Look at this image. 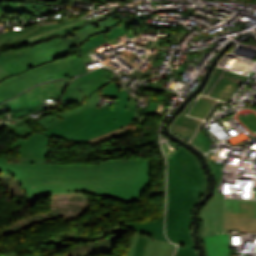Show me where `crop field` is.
Wrapping results in <instances>:
<instances>
[{"label": "crop field", "mask_w": 256, "mask_h": 256, "mask_svg": "<svg viewBox=\"0 0 256 256\" xmlns=\"http://www.w3.org/2000/svg\"><path fill=\"white\" fill-rule=\"evenodd\" d=\"M150 170L151 162L146 159L57 166L46 162L10 164L6 157H0V172L13 173L33 202L76 192L136 202L148 187Z\"/></svg>", "instance_id": "8a807250"}, {"label": "crop field", "mask_w": 256, "mask_h": 256, "mask_svg": "<svg viewBox=\"0 0 256 256\" xmlns=\"http://www.w3.org/2000/svg\"><path fill=\"white\" fill-rule=\"evenodd\" d=\"M168 164L166 234L180 246H194L189 234L191 211L206 191L208 182L197 157L181 146L172 158H168Z\"/></svg>", "instance_id": "ac0d7876"}, {"label": "crop field", "mask_w": 256, "mask_h": 256, "mask_svg": "<svg viewBox=\"0 0 256 256\" xmlns=\"http://www.w3.org/2000/svg\"><path fill=\"white\" fill-rule=\"evenodd\" d=\"M78 45L75 37L50 40L1 57L0 65L15 75L40 63L60 58L67 50Z\"/></svg>", "instance_id": "34b2d1b8"}, {"label": "crop field", "mask_w": 256, "mask_h": 256, "mask_svg": "<svg viewBox=\"0 0 256 256\" xmlns=\"http://www.w3.org/2000/svg\"><path fill=\"white\" fill-rule=\"evenodd\" d=\"M118 15L119 13L114 10L96 20H86L83 18L82 20L78 19L67 23H59L24 39L18 40V42L22 45L29 43L33 46L37 43L54 38L76 36L80 44L85 38L103 32L108 27L117 23L118 21H114L112 18Z\"/></svg>", "instance_id": "412701ff"}, {"label": "crop field", "mask_w": 256, "mask_h": 256, "mask_svg": "<svg viewBox=\"0 0 256 256\" xmlns=\"http://www.w3.org/2000/svg\"><path fill=\"white\" fill-rule=\"evenodd\" d=\"M70 65L71 57L45 63L29 69L23 74L3 80L0 82V102L17 95L39 82L48 81L51 77L53 79L66 77Z\"/></svg>", "instance_id": "f4fd0767"}, {"label": "crop field", "mask_w": 256, "mask_h": 256, "mask_svg": "<svg viewBox=\"0 0 256 256\" xmlns=\"http://www.w3.org/2000/svg\"><path fill=\"white\" fill-rule=\"evenodd\" d=\"M230 229L256 233V201L224 199L222 232Z\"/></svg>", "instance_id": "dd49c442"}, {"label": "crop field", "mask_w": 256, "mask_h": 256, "mask_svg": "<svg viewBox=\"0 0 256 256\" xmlns=\"http://www.w3.org/2000/svg\"><path fill=\"white\" fill-rule=\"evenodd\" d=\"M50 140V138L34 131L26 140L18 139L6 149V152L20 145L21 147L17 151V153L21 154L20 158H18L20 163L44 162L50 147L47 151L44 149L48 146Z\"/></svg>", "instance_id": "e52e79f7"}, {"label": "crop field", "mask_w": 256, "mask_h": 256, "mask_svg": "<svg viewBox=\"0 0 256 256\" xmlns=\"http://www.w3.org/2000/svg\"><path fill=\"white\" fill-rule=\"evenodd\" d=\"M175 250L176 246L173 244L158 242L141 233H135L127 256H173Z\"/></svg>", "instance_id": "d8731c3e"}, {"label": "crop field", "mask_w": 256, "mask_h": 256, "mask_svg": "<svg viewBox=\"0 0 256 256\" xmlns=\"http://www.w3.org/2000/svg\"><path fill=\"white\" fill-rule=\"evenodd\" d=\"M217 185L215 194L207 202L200 213L203 228L200 235L213 236L216 232H221V221L223 213V196L220 195Z\"/></svg>", "instance_id": "5a996713"}, {"label": "crop field", "mask_w": 256, "mask_h": 256, "mask_svg": "<svg viewBox=\"0 0 256 256\" xmlns=\"http://www.w3.org/2000/svg\"><path fill=\"white\" fill-rule=\"evenodd\" d=\"M201 238L208 256H228L230 250L228 234H217L213 237L201 236Z\"/></svg>", "instance_id": "3316defc"}, {"label": "crop field", "mask_w": 256, "mask_h": 256, "mask_svg": "<svg viewBox=\"0 0 256 256\" xmlns=\"http://www.w3.org/2000/svg\"><path fill=\"white\" fill-rule=\"evenodd\" d=\"M114 238L116 237H114V235H111L105 240H102V241L100 240L92 244L87 243V244L77 245L78 248L73 250L69 254L71 256H89V255H94L102 252L111 253L112 250L110 249V246L113 245V243H111V240Z\"/></svg>", "instance_id": "28ad6ade"}, {"label": "crop field", "mask_w": 256, "mask_h": 256, "mask_svg": "<svg viewBox=\"0 0 256 256\" xmlns=\"http://www.w3.org/2000/svg\"><path fill=\"white\" fill-rule=\"evenodd\" d=\"M163 219L164 213L156 221L130 223V226L137 232L148 234L157 240L167 241L164 235Z\"/></svg>", "instance_id": "d1516ede"}, {"label": "crop field", "mask_w": 256, "mask_h": 256, "mask_svg": "<svg viewBox=\"0 0 256 256\" xmlns=\"http://www.w3.org/2000/svg\"><path fill=\"white\" fill-rule=\"evenodd\" d=\"M52 25H54V24H52ZM49 26H51V25H40V26L31 27V28H28V29H25V30L10 31V32L3 33L0 36V49L4 46L8 45V44H16V43H18L16 40L24 38L28 35H31L35 32H38L42 29H45ZM11 52H14V51H10V52H7L5 54H2L0 52V57L4 56V55H7Z\"/></svg>", "instance_id": "22f410ed"}, {"label": "crop field", "mask_w": 256, "mask_h": 256, "mask_svg": "<svg viewBox=\"0 0 256 256\" xmlns=\"http://www.w3.org/2000/svg\"><path fill=\"white\" fill-rule=\"evenodd\" d=\"M148 17L147 15H132L124 18L122 21L115 26L108 29L106 32L107 41L121 35L125 34L128 30V26L130 25H139L140 21Z\"/></svg>", "instance_id": "cbeb9de0"}, {"label": "crop field", "mask_w": 256, "mask_h": 256, "mask_svg": "<svg viewBox=\"0 0 256 256\" xmlns=\"http://www.w3.org/2000/svg\"><path fill=\"white\" fill-rule=\"evenodd\" d=\"M130 131L125 127H121L119 129H116L114 131H111L107 134H104V135H101V136H98L94 139H91V140H88L86 142H82L80 144H85V145H95V144H99V143H103V142H106V141H110V140H113L117 137H120V136H123L127 133H129Z\"/></svg>", "instance_id": "5142ce71"}, {"label": "crop field", "mask_w": 256, "mask_h": 256, "mask_svg": "<svg viewBox=\"0 0 256 256\" xmlns=\"http://www.w3.org/2000/svg\"><path fill=\"white\" fill-rule=\"evenodd\" d=\"M105 33L95 35L87 40H85L80 47V54L82 55L84 52L88 51L89 49L105 42Z\"/></svg>", "instance_id": "d9b57169"}, {"label": "crop field", "mask_w": 256, "mask_h": 256, "mask_svg": "<svg viewBox=\"0 0 256 256\" xmlns=\"http://www.w3.org/2000/svg\"><path fill=\"white\" fill-rule=\"evenodd\" d=\"M85 72H87V71H86L81 59L72 57V66L68 72L67 77L74 76L77 74H83Z\"/></svg>", "instance_id": "733c2abd"}, {"label": "crop field", "mask_w": 256, "mask_h": 256, "mask_svg": "<svg viewBox=\"0 0 256 256\" xmlns=\"http://www.w3.org/2000/svg\"><path fill=\"white\" fill-rule=\"evenodd\" d=\"M194 247H179L175 256H198Z\"/></svg>", "instance_id": "4a817a6b"}, {"label": "crop field", "mask_w": 256, "mask_h": 256, "mask_svg": "<svg viewBox=\"0 0 256 256\" xmlns=\"http://www.w3.org/2000/svg\"><path fill=\"white\" fill-rule=\"evenodd\" d=\"M113 228H111V229H109V230H107L108 232L107 233H105V234H102V235H98L97 237H89V238H87V239H84V240H93V239H98V238H100V237H102V236H104V235H107V234H110V233H113V232H117V233H125V231H122V227H121V225L120 224H117V225H114V226H112ZM97 235V234H96ZM82 241V240H81Z\"/></svg>", "instance_id": "bc2a9ffb"}, {"label": "crop field", "mask_w": 256, "mask_h": 256, "mask_svg": "<svg viewBox=\"0 0 256 256\" xmlns=\"http://www.w3.org/2000/svg\"><path fill=\"white\" fill-rule=\"evenodd\" d=\"M0 1L35 2V0H0ZM53 1L75 2V0H53Z\"/></svg>", "instance_id": "214f88e0"}, {"label": "crop field", "mask_w": 256, "mask_h": 256, "mask_svg": "<svg viewBox=\"0 0 256 256\" xmlns=\"http://www.w3.org/2000/svg\"><path fill=\"white\" fill-rule=\"evenodd\" d=\"M11 76V74H9L5 69H3L1 66H0V80L6 78V77H9Z\"/></svg>", "instance_id": "92a150f3"}, {"label": "crop field", "mask_w": 256, "mask_h": 256, "mask_svg": "<svg viewBox=\"0 0 256 256\" xmlns=\"http://www.w3.org/2000/svg\"><path fill=\"white\" fill-rule=\"evenodd\" d=\"M26 256H43V255L30 254V255H26Z\"/></svg>", "instance_id": "dafd665d"}, {"label": "crop field", "mask_w": 256, "mask_h": 256, "mask_svg": "<svg viewBox=\"0 0 256 256\" xmlns=\"http://www.w3.org/2000/svg\"><path fill=\"white\" fill-rule=\"evenodd\" d=\"M5 256H16V255H14V254H7V255H5Z\"/></svg>", "instance_id": "00972430"}]
</instances>
